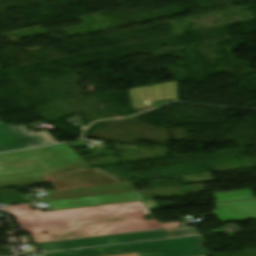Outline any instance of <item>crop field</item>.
<instances>
[{
	"instance_id": "crop-field-1",
	"label": "crop field",
	"mask_w": 256,
	"mask_h": 256,
	"mask_svg": "<svg viewBox=\"0 0 256 256\" xmlns=\"http://www.w3.org/2000/svg\"><path fill=\"white\" fill-rule=\"evenodd\" d=\"M5 209L16 217L23 230L33 235L36 242L184 226L179 222L165 223L166 226L157 220L145 221L142 215L150 212L142 202L45 213L31 210L29 204ZM140 211H144L143 214Z\"/></svg>"
},
{
	"instance_id": "crop-field-2",
	"label": "crop field",
	"mask_w": 256,
	"mask_h": 256,
	"mask_svg": "<svg viewBox=\"0 0 256 256\" xmlns=\"http://www.w3.org/2000/svg\"><path fill=\"white\" fill-rule=\"evenodd\" d=\"M199 236L127 245L45 253L48 256H108L136 252L138 256H199L209 254Z\"/></svg>"
},
{
	"instance_id": "crop-field-3",
	"label": "crop field",
	"mask_w": 256,
	"mask_h": 256,
	"mask_svg": "<svg viewBox=\"0 0 256 256\" xmlns=\"http://www.w3.org/2000/svg\"><path fill=\"white\" fill-rule=\"evenodd\" d=\"M195 234H198L195 228L188 227V228H178V229H170V230L120 234V235L95 237V238H87V239H79V240H71V241L41 243V244H33V245H37L42 251H49V250L80 248V247L114 244V243H125V242L142 241V240L159 239V238L178 237V236L195 235Z\"/></svg>"
},
{
	"instance_id": "crop-field-4",
	"label": "crop field",
	"mask_w": 256,
	"mask_h": 256,
	"mask_svg": "<svg viewBox=\"0 0 256 256\" xmlns=\"http://www.w3.org/2000/svg\"><path fill=\"white\" fill-rule=\"evenodd\" d=\"M54 143L45 132L32 133L23 126L0 124V152Z\"/></svg>"
},
{
	"instance_id": "crop-field-5",
	"label": "crop field",
	"mask_w": 256,
	"mask_h": 256,
	"mask_svg": "<svg viewBox=\"0 0 256 256\" xmlns=\"http://www.w3.org/2000/svg\"><path fill=\"white\" fill-rule=\"evenodd\" d=\"M132 107L152 106L153 101L173 97L177 101L175 82L129 90Z\"/></svg>"
},
{
	"instance_id": "crop-field-6",
	"label": "crop field",
	"mask_w": 256,
	"mask_h": 256,
	"mask_svg": "<svg viewBox=\"0 0 256 256\" xmlns=\"http://www.w3.org/2000/svg\"><path fill=\"white\" fill-rule=\"evenodd\" d=\"M217 209L213 211L220 222L242 220L247 218L256 219V200L241 201L233 203L216 204ZM226 206V208H224ZM254 215V216H250Z\"/></svg>"
},
{
	"instance_id": "crop-field-7",
	"label": "crop field",
	"mask_w": 256,
	"mask_h": 256,
	"mask_svg": "<svg viewBox=\"0 0 256 256\" xmlns=\"http://www.w3.org/2000/svg\"><path fill=\"white\" fill-rule=\"evenodd\" d=\"M144 199L138 192L52 201L53 209Z\"/></svg>"
},
{
	"instance_id": "crop-field-8",
	"label": "crop field",
	"mask_w": 256,
	"mask_h": 256,
	"mask_svg": "<svg viewBox=\"0 0 256 256\" xmlns=\"http://www.w3.org/2000/svg\"><path fill=\"white\" fill-rule=\"evenodd\" d=\"M218 201L223 200H234L254 197L250 189L240 190V191H228L220 192L215 194Z\"/></svg>"
},
{
	"instance_id": "crop-field-9",
	"label": "crop field",
	"mask_w": 256,
	"mask_h": 256,
	"mask_svg": "<svg viewBox=\"0 0 256 256\" xmlns=\"http://www.w3.org/2000/svg\"><path fill=\"white\" fill-rule=\"evenodd\" d=\"M143 203L147 207V209H153V208L158 207L157 204L153 200L143 201Z\"/></svg>"
},
{
	"instance_id": "crop-field-10",
	"label": "crop field",
	"mask_w": 256,
	"mask_h": 256,
	"mask_svg": "<svg viewBox=\"0 0 256 256\" xmlns=\"http://www.w3.org/2000/svg\"><path fill=\"white\" fill-rule=\"evenodd\" d=\"M59 182L63 181L62 173L58 174Z\"/></svg>"
},
{
	"instance_id": "crop-field-11",
	"label": "crop field",
	"mask_w": 256,
	"mask_h": 256,
	"mask_svg": "<svg viewBox=\"0 0 256 256\" xmlns=\"http://www.w3.org/2000/svg\"><path fill=\"white\" fill-rule=\"evenodd\" d=\"M119 256H137V255H136V253H133V254L119 255Z\"/></svg>"
},
{
	"instance_id": "crop-field-12",
	"label": "crop field",
	"mask_w": 256,
	"mask_h": 256,
	"mask_svg": "<svg viewBox=\"0 0 256 256\" xmlns=\"http://www.w3.org/2000/svg\"><path fill=\"white\" fill-rule=\"evenodd\" d=\"M0 123H3V121L0 120Z\"/></svg>"
}]
</instances>
